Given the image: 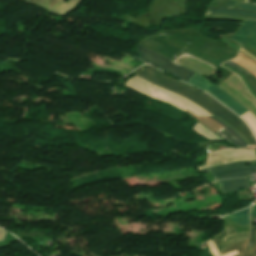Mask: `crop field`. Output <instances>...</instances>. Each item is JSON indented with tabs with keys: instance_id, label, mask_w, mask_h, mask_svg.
Returning a JSON list of instances; mask_svg holds the SVG:
<instances>
[{
	"instance_id": "1",
	"label": "crop field",
	"mask_w": 256,
	"mask_h": 256,
	"mask_svg": "<svg viewBox=\"0 0 256 256\" xmlns=\"http://www.w3.org/2000/svg\"><path fill=\"white\" fill-rule=\"evenodd\" d=\"M157 70L150 65H145L136 75L150 81L153 84L184 96L185 98L189 99L190 101L225 121L247 142L256 144V139L254 138L247 125L226 107L218 103L209 95L187 84L177 81Z\"/></svg>"
},
{
	"instance_id": "2",
	"label": "crop field",
	"mask_w": 256,
	"mask_h": 256,
	"mask_svg": "<svg viewBox=\"0 0 256 256\" xmlns=\"http://www.w3.org/2000/svg\"><path fill=\"white\" fill-rule=\"evenodd\" d=\"M125 85L154 99L170 103L183 111L187 109L197 116L210 115L204 109L200 108L189 100L153 85L137 76L127 80Z\"/></svg>"
},
{
	"instance_id": "3",
	"label": "crop field",
	"mask_w": 256,
	"mask_h": 256,
	"mask_svg": "<svg viewBox=\"0 0 256 256\" xmlns=\"http://www.w3.org/2000/svg\"><path fill=\"white\" fill-rule=\"evenodd\" d=\"M207 79V78H206ZM204 77L199 75L198 73H194V75L189 79L188 83L193 84L203 90L208 91L212 96L230 108L239 116L248 111L245 109L240 103L232 99L225 92H223L220 88L206 80ZM205 91V92H206ZM207 92V93H208ZM251 128L253 133L256 136V118L249 111L240 116Z\"/></svg>"
},
{
	"instance_id": "4",
	"label": "crop field",
	"mask_w": 256,
	"mask_h": 256,
	"mask_svg": "<svg viewBox=\"0 0 256 256\" xmlns=\"http://www.w3.org/2000/svg\"><path fill=\"white\" fill-rule=\"evenodd\" d=\"M137 51L142 54L141 59L186 82L194 73V71L178 65L159 54L143 48L140 45H138Z\"/></svg>"
},
{
	"instance_id": "5",
	"label": "crop field",
	"mask_w": 256,
	"mask_h": 256,
	"mask_svg": "<svg viewBox=\"0 0 256 256\" xmlns=\"http://www.w3.org/2000/svg\"><path fill=\"white\" fill-rule=\"evenodd\" d=\"M217 86L234 97L256 116V100L248 93L238 76L233 74Z\"/></svg>"
},
{
	"instance_id": "6",
	"label": "crop field",
	"mask_w": 256,
	"mask_h": 256,
	"mask_svg": "<svg viewBox=\"0 0 256 256\" xmlns=\"http://www.w3.org/2000/svg\"><path fill=\"white\" fill-rule=\"evenodd\" d=\"M249 238V231L235 234L230 226L223 229V231L214 236L212 239L219 250L222 252L227 246L244 239Z\"/></svg>"
},
{
	"instance_id": "7",
	"label": "crop field",
	"mask_w": 256,
	"mask_h": 256,
	"mask_svg": "<svg viewBox=\"0 0 256 256\" xmlns=\"http://www.w3.org/2000/svg\"><path fill=\"white\" fill-rule=\"evenodd\" d=\"M241 45L249 44L256 49V22L246 20L240 29L231 37Z\"/></svg>"
},
{
	"instance_id": "8",
	"label": "crop field",
	"mask_w": 256,
	"mask_h": 256,
	"mask_svg": "<svg viewBox=\"0 0 256 256\" xmlns=\"http://www.w3.org/2000/svg\"><path fill=\"white\" fill-rule=\"evenodd\" d=\"M242 156L256 157L254 150L227 149L223 151H215V152L209 153L206 164L224 160V159L242 157Z\"/></svg>"
},
{
	"instance_id": "9",
	"label": "crop field",
	"mask_w": 256,
	"mask_h": 256,
	"mask_svg": "<svg viewBox=\"0 0 256 256\" xmlns=\"http://www.w3.org/2000/svg\"><path fill=\"white\" fill-rule=\"evenodd\" d=\"M253 173H256V166H242V167L228 168V169L212 172V175L215 178V180H219L223 178L248 176Z\"/></svg>"
},
{
	"instance_id": "10",
	"label": "crop field",
	"mask_w": 256,
	"mask_h": 256,
	"mask_svg": "<svg viewBox=\"0 0 256 256\" xmlns=\"http://www.w3.org/2000/svg\"><path fill=\"white\" fill-rule=\"evenodd\" d=\"M185 55H183L180 58H178L175 62H177V63H179L181 65H184V66H186V67H188V68H190V69H192V70H194V71H196V72H198V73H200V74H202V75H204L206 77L209 76L210 74H212L213 69H215V68L211 67L210 65H208V64H206V63H204L202 61H199V60H197V59H195L193 57H191V58H193V59H195V60H197V61H199V62H201V63H203V64H205V65H207V66H209L211 68H213V69H211V68H209V67H207V66H205V65H203V64H201V63H199V62H197V61H195V60H193L191 58H189L191 55L189 57H187L189 54L187 56H185Z\"/></svg>"
},
{
	"instance_id": "11",
	"label": "crop field",
	"mask_w": 256,
	"mask_h": 256,
	"mask_svg": "<svg viewBox=\"0 0 256 256\" xmlns=\"http://www.w3.org/2000/svg\"><path fill=\"white\" fill-rule=\"evenodd\" d=\"M225 64L227 66L235 69L239 73H241L243 75V77L245 78V80L247 81V83L250 86V88L252 89V91L256 94V78L254 76H252L249 72H247L245 69H243L242 67H240L239 65H237L236 63H234L231 60L225 62ZM225 64L223 63L222 66L227 67ZM230 70H232V69H230ZM232 71L237 73L242 78V80H243L244 84L246 85L247 89L249 90V92L256 98V95L251 91V89L247 85V83L244 80V78L242 77V75L239 74L238 72L234 71V70H232Z\"/></svg>"
},
{
	"instance_id": "12",
	"label": "crop field",
	"mask_w": 256,
	"mask_h": 256,
	"mask_svg": "<svg viewBox=\"0 0 256 256\" xmlns=\"http://www.w3.org/2000/svg\"><path fill=\"white\" fill-rule=\"evenodd\" d=\"M222 193L234 192L245 187H249V181L246 178L230 179L217 181Z\"/></svg>"
},
{
	"instance_id": "13",
	"label": "crop field",
	"mask_w": 256,
	"mask_h": 256,
	"mask_svg": "<svg viewBox=\"0 0 256 256\" xmlns=\"http://www.w3.org/2000/svg\"><path fill=\"white\" fill-rule=\"evenodd\" d=\"M210 118L215 120L216 122H218L219 124H221L224 127L223 129H221L218 132H216L220 136H222L223 138L227 139L229 142H231V143H233V144H235V145H237L239 147H242L244 145H248L229 126H227L226 124H224L223 122L219 121L218 119H216L214 117H210Z\"/></svg>"
},
{
	"instance_id": "14",
	"label": "crop field",
	"mask_w": 256,
	"mask_h": 256,
	"mask_svg": "<svg viewBox=\"0 0 256 256\" xmlns=\"http://www.w3.org/2000/svg\"><path fill=\"white\" fill-rule=\"evenodd\" d=\"M208 9L245 11V12L256 14V12H254V11L242 10V9H223V8H213V7H209ZM206 16H214V17H239V18L251 19V20H255L256 21V17L255 16H247V15H242V14L210 13V12H207Z\"/></svg>"
},
{
	"instance_id": "15",
	"label": "crop field",
	"mask_w": 256,
	"mask_h": 256,
	"mask_svg": "<svg viewBox=\"0 0 256 256\" xmlns=\"http://www.w3.org/2000/svg\"><path fill=\"white\" fill-rule=\"evenodd\" d=\"M248 211H249V208L246 209V210H243L241 212H238V213H235V214H232L230 216H227L228 218L242 224V225H245V224H248L249 221H248Z\"/></svg>"
},
{
	"instance_id": "16",
	"label": "crop field",
	"mask_w": 256,
	"mask_h": 256,
	"mask_svg": "<svg viewBox=\"0 0 256 256\" xmlns=\"http://www.w3.org/2000/svg\"><path fill=\"white\" fill-rule=\"evenodd\" d=\"M243 160H256V158L242 157V158L229 159V160L220 161V162H216V163H212V164H208V165H204V166H199L197 168H198V170H200V169H204V168L210 167V166H215V165L230 163V162H236V161H243Z\"/></svg>"
},
{
	"instance_id": "17",
	"label": "crop field",
	"mask_w": 256,
	"mask_h": 256,
	"mask_svg": "<svg viewBox=\"0 0 256 256\" xmlns=\"http://www.w3.org/2000/svg\"><path fill=\"white\" fill-rule=\"evenodd\" d=\"M246 164H252V161H243V162L225 164V165L213 167V168L206 169V170H201L200 173L211 172V171H214V170H217V169L228 168V167H233V166H237V165H246Z\"/></svg>"
},
{
	"instance_id": "18",
	"label": "crop field",
	"mask_w": 256,
	"mask_h": 256,
	"mask_svg": "<svg viewBox=\"0 0 256 256\" xmlns=\"http://www.w3.org/2000/svg\"><path fill=\"white\" fill-rule=\"evenodd\" d=\"M207 243H208V245H209V247H210V249H211L213 255H214V256H220V254L218 253V251H217V249H216V247H215L213 241H212V240H209V241H207ZM237 253H239V252H238L237 250H235V251H232V252H230V253L224 254V255H222V256H233V255H235V254H237Z\"/></svg>"
},
{
	"instance_id": "19",
	"label": "crop field",
	"mask_w": 256,
	"mask_h": 256,
	"mask_svg": "<svg viewBox=\"0 0 256 256\" xmlns=\"http://www.w3.org/2000/svg\"><path fill=\"white\" fill-rule=\"evenodd\" d=\"M239 8L250 9V10L256 11V5H251V4L241 3V2H240V5H239Z\"/></svg>"
},
{
	"instance_id": "20",
	"label": "crop field",
	"mask_w": 256,
	"mask_h": 256,
	"mask_svg": "<svg viewBox=\"0 0 256 256\" xmlns=\"http://www.w3.org/2000/svg\"><path fill=\"white\" fill-rule=\"evenodd\" d=\"M254 234H255V228H251V241H250L248 250L253 249V245H254Z\"/></svg>"
},
{
	"instance_id": "21",
	"label": "crop field",
	"mask_w": 256,
	"mask_h": 256,
	"mask_svg": "<svg viewBox=\"0 0 256 256\" xmlns=\"http://www.w3.org/2000/svg\"><path fill=\"white\" fill-rule=\"evenodd\" d=\"M250 217H256V205H253L250 211Z\"/></svg>"
},
{
	"instance_id": "22",
	"label": "crop field",
	"mask_w": 256,
	"mask_h": 256,
	"mask_svg": "<svg viewBox=\"0 0 256 256\" xmlns=\"http://www.w3.org/2000/svg\"><path fill=\"white\" fill-rule=\"evenodd\" d=\"M211 12H229V13H242V14H247V15H253V14H248L244 12H234V11H219V10H209ZM256 16V15H255Z\"/></svg>"
},
{
	"instance_id": "23",
	"label": "crop field",
	"mask_w": 256,
	"mask_h": 256,
	"mask_svg": "<svg viewBox=\"0 0 256 256\" xmlns=\"http://www.w3.org/2000/svg\"><path fill=\"white\" fill-rule=\"evenodd\" d=\"M4 234H5V231H3V230L0 229V241L2 240Z\"/></svg>"
},
{
	"instance_id": "24",
	"label": "crop field",
	"mask_w": 256,
	"mask_h": 256,
	"mask_svg": "<svg viewBox=\"0 0 256 256\" xmlns=\"http://www.w3.org/2000/svg\"><path fill=\"white\" fill-rule=\"evenodd\" d=\"M234 0H230V4H229V7L228 8H232L233 7V4H234Z\"/></svg>"
}]
</instances>
